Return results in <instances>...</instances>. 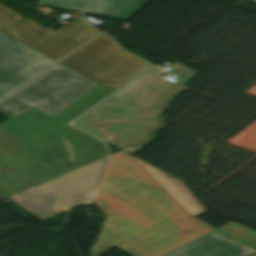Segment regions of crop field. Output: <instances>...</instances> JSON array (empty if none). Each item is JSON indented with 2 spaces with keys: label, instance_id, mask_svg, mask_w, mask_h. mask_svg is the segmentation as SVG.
<instances>
[{
  "label": "crop field",
  "instance_id": "6",
  "mask_svg": "<svg viewBox=\"0 0 256 256\" xmlns=\"http://www.w3.org/2000/svg\"><path fill=\"white\" fill-rule=\"evenodd\" d=\"M53 60L0 32V89L11 94L52 66Z\"/></svg>",
  "mask_w": 256,
  "mask_h": 256
},
{
  "label": "crop field",
  "instance_id": "4",
  "mask_svg": "<svg viewBox=\"0 0 256 256\" xmlns=\"http://www.w3.org/2000/svg\"><path fill=\"white\" fill-rule=\"evenodd\" d=\"M60 63L114 90L148 66L147 63L119 49L114 41L102 34Z\"/></svg>",
  "mask_w": 256,
  "mask_h": 256
},
{
  "label": "crop field",
  "instance_id": "1",
  "mask_svg": "<svg viewBox=\"0 0 256 256\" xmlns=\"http://www.w3.org/2000/svg\"><path fill=\"white\" fill-rule=\"evenodd\" d=\"M106 155L103 142L33 108L0 125V198Z\"/></svg>",
  "mask_w": 256,
  "mask_h": 256
},
{
  "label": "crop field",
  "instance_id": "14",
  "mask_svg": "<svg viewBox=\"0 0 256 256\" xmlns=\"http://www.w3.org/2000/svg\"><path fill=\"white\" fill-rule=\"evenodd\" d=\"M148 0H93L84 12L128 20Z\"/></svg>",
  "mask_w": 256,
  "mask_h": 256
},
{
  "label": "crop field",
  "instance_id": "3",
  "mask_svg": "<svg viewBox=\"0 0 256 256\" xmlns=\"http://www.w3.org/2000/svg\"><path fill=\"white\" fill-rule=\"evenodd\" d=\"M167 67L178 71L177 83L160 81L162 78L152 73L159 70L152 67L72 125L133 156L156 138L165 126L166 117L160 116L197 73L176 63Z\"/></svg>",
  "mask_w": 256,
  "mask_h": 256
},
{
  "label": "crop field",
  "instance_id": "7",
  "mask_svg": "<svg viewBox=\"0 0 256 256\" xmlns=\"http://www.w3.org/2000/svg\"><path fill=\"white\" fill-rule=\"evenodd\" d=\"M210 230L214 229L191 216L140 235L116 248L130 256H162Z\"/></svg>",
  "mask_w": 256,
  "mask_h": 256
},
{
  "label": "crop field",
  "instance_id": "8",
  "mask_svg": "<svg viewBox=\"0 0 256 256\" xmlns=\"http://www.w3.org/2000/svg\"><path fill=\"white\" fill-rule=\"evenodd\" d=\"M93 190L94 188L68 185L44 195L35 186L9 199L43 221L88 201Z\"/></svg>",
  "mask_w": 256,
  "mask_h": 256
},
{
  "label": "crop field",
  "instance_id": "19",
  "mask_svg": "<svg viewBox=\"0 0 256 256\" xmlns=\"http://www.w3.org/2000/svg\"><path fill=\"white\" fill-rule=\"evenodd\" d=\"M7 95H9V94H7V93H5V92L0 90V99L5 97V96H7Z\"/></svg>",
  "mask_w": 256,
  "mask_h": 256
},
{
  "label": "crop field",
  "instance_id": "5",
  "mask_svg": "<svg viewBox=\"0 0 256 256\" xmlns=\"http://www.w3.org/2000/svg\"><path fill=\"white\" fill-rule=\"evenodd\" d=\"M95 85L58 64L13 96L53 116Z\"/></svg>",
  "mask_w": 256,
  "mask_h": 256
},
{
  "label": "crop field",
  "instance_id": "11",
  "mask_svg": "<svg viewBox=\"0 0 256 256\" xmlns=\"http://www.w3.org/2000/svg\"><path fill=\"white\" fill-rule=\"evenodd\" d=\"M9 9L0 4V30L10 36L33 47L53 33Z\"/></svg>",
  "mask_w": 256,
  "mask_h": 256
},
{
  "label": "crop field",
  "instance_id": "9",
  "mask_svg": "<svg viewBox=\"0 0 256 256\" xmlns=\"http://www.w3.org/2000/svg\"><path fill=\"white\" fill-rule=\"evenodd\" d=\"M96 33L80 17L73 23H66L33 48L58 61Z\"/></svg>",
  "mask_w": 256,
  "mask_h": 256
},
{
  "label": "crop field",
  "instance_id": "18",
  "mask_svg": "<svg viewBox=\"0 0 256 256\" xmlns=\"http://www.w3.org/2000/svg\"><path fill=\"white\" fill-rule=\"evenodd\" d=\"M30 107L32 106L16 99L13 96L0 102V112L9 117H12Z\"/></svg>",
  "mask_w": 256,
  "mask_h": 256
},
{
  "label": "crop field",
  "instance_id": "12",
  "mask_svg": "<svg viewBox=\"0 0 256 256\" xmlns=\"http://www.w3.org/2000/svg\"><path fill=\"white\" fill-rule=\"evenodd\" d=\"M107 157V156H106ZM106 157L93 163L83 166L63 176L38 185L41 191L46 194L67 184L96 187L105 165Z\"/></svg>",
  "mask_w": 256,
  "mask_h": 256
},
{
  "label": "crop field",
  "instance_id": "15",
  "mask_svg": "<svg viewBox=\"0 0 256 256\" xmlns=\"http://www.w3.org/2000/svg\"><path fill=\"white\" fill-rule=\"evenodd\" d=\"M111 92L112 91L97 85L93 87L89 92L83 94L78 99L73 101L71 104L57 113L54 117L65 122L66 124H69V122L72 121L76 116L92 107Z\"/></svg>",
  "mask_w": 256,
  "mask_h": 256
},
{
  "label": "crop field",
  "instance_id": "2",
  "mask_svg": "<svg viewBox=\"0 0 256 256\" xmlns=\"http://www.w3.org/2000/svg\"><path fill=\"white\" fill-rule=\"evenodd\" d=\"M145 165L123 151L109 157L101 184L91 199L108 216L92 256L131 237L191 216L144 170Z\"/></svg>",
  "mask_w": 256,
  "mask_h": 256
},
{
  "label": "crop field",
  "instance_id": "10",
  "mask_svg": "<svg viewBox=\"0 0 256 256\" xmlns=\"http://www.w3.org/2000/svg\"><path fill=\"white\" fill-rule=\"evenodd\" d=\"M252 251L212 232L167 256H244Z\"/></svg>",
  "mask_w": 256,
  "mask_h": 256
},
{
  "label": "crop field",
  "instance_id": "13",
  "mask_svg": "<svg viewBox=\"0 0 256 256\" xmlns=\"http://www.w3.org/2000/svg\"><path fill=\"white\" fill-rule=\"evenodd\" d=\"M145 170L157 180L179 203H181L192 215L196 216L205 212L203 207L183 185V183L149 165Z\"/></svg>",
  "mask_w": 256,
  "mask_h": 256
},
{
  "label": "crop field",
  "instance_id": "16",
  "mask_svg": "<svg viewBox=\"0 0 256 256\" xmlns=\"http://www.w3.org/2000/svg\"><path fill=\"white\" fill-rule=\"evenodd\" d=\"M214 231L256 249V232L252 230L231 222Z\"/></svg>",
  "mask_w": 256,
  "mask_h": 256
},
{
  "label": "crop field",
  "instance_id": "17",
  "mask_svg": "<svg viewBox=\"0 0 256 256\" xmlns=\"http://www.w3.org/2000/svg\"><path fill=\"white\" fill-rule=\"evenodd\" d=\"M88 1L89 0H39L36 4L81 12Z\"/></svg>",
  "mask_w": 256,
  "mask_h": 256
}]
</instances>
